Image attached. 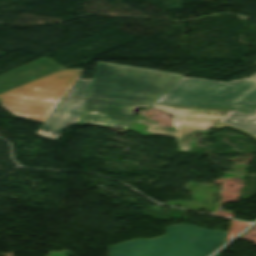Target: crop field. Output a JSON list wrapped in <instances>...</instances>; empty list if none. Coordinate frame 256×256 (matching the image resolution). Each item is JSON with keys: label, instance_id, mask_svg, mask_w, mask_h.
I'll list each match as a JSON object with an SVG mask.
<instances>
[{"label": "crop field", "instance_id": "1", "mask_svg": "<svg viewBox=\"0 0 256 256\" xmlns=\"http://www.w3.org/2000/svg\"><path fill=\"white\" fill-rule=\"evenodd\" d=\"M181 75L99 62L79 122L127 129Z\"/></svg>", "mask_w": 256, "mask_h": 256}, {"label": "crop field", "instance_id": "2", "mask_svg": "<svg viewBox=\"0 0 256 256\" xmlns=\"http://www.w3.org/2000/svg\"><path fill=\"white\" fill-rule=\"evenodd\" d=\"M156 103L231 109L256 115V73L231 82L182 77Z\"/></svg>", "mask_w": 256, "mask_h": 256}, {"label": "crop field", "instance_id": "3", "mask_svg": "<svg viewBox=\"0 0 256 256\" xmlns=\"http://www.w3.org/2000/svg\"><path fill=\"white\" fill-rule=\"evenodd\" d=\"M226 232L188 224L166 227V235L109 247L108 256H208L223 244Z\"/></svg>", "mask_w": 256, "mask_h": 256}, {"label": "crop field", "instance_id": "4", "mask_svg": "<svg viewBox=\"0 0 256 256\" xmlns=\"http://www.w3.org/2000/svg\"><path fill=\"white\" fill-rule=\"evenodd\" d=\"M85 69H63L0 95V105L14 116L44 123Z\"/></svg>", "mask_w": 256, "mask_h": 256}, {"label": "crop field", "instance_id": "5", "mask_svg": "<svg viewBox=\"0 0 256 256\" xmlns=\"http://www.w3.org/2000/svg\"><path fill=\"white\" fill-rule=\"evenodd\" d=\"M153 107L164 110L173 115L172 125L176 132L172 133L166 131L156 127V125L152 123L139 119L138 121H141L140 124L148 126L144 131L175 138L176 143H178V147H180L181 150H188L191 132L198 129L208 130L221 117L229 112L225 110L162 105H154Z\"/></svg>", "mask_w": 256, "mask_h": 256}, {"label": "crop field", "instance_id": "6", "mask_svg": "<svg viewBox=\"0 0 256 256\" xmlns=\"http://www.w3.org/2000/svg\"><path fill=\"white\" fill-rule=\"evenodd\" d=\"M91 80L79 79L35 135L55 141L67 126L77 122L85 100L70 96L86 98Z\"/></svg>", "mask_w": 256, "mask_h": 256}, {"label": "crop field", "instance_id": "7", "mask_svg": "<svg viewBox=\"0 0 256 256\" xmlns=\"http://www.w3.org/2000/svg\"><path fill=\"white\" fill-rule=\"evenodd\" d=\"M61 69L63 68L41 58L0 76V94Z\"/></svg>", "mask_w": 256, "mask_h": 256}, {"label": "crop field", "instance_id": "8", "mask_svg": "<svg viewBox=\"0 0 256 256\" xmlns=\"http://www.w3.org/2000/svg\"><path fill=\"white\" fill-rule=\"evenodd\" d=\"M228 126L256 140V118L230 111L211 128Z\"/></svg>", "mask_w": 256, "mask_h": 256}, {"label": "crop field", "instance_id": "9", "mask_svg": "<svg viewBox=\"0 0 256 256\" xmlns=\"http://www.w3.org/2000/svg\"><path fill=\"white\" fill-rule=\"evenodd\" d=\"M214 256H219V255L216 254V255H214Z\"/></svg>", "mask_w": 256, "mask_h": 256}, {"label": "crop field", "instance_id": "10", "mask_svg": "<svg viewBox=\"0 0 256 256\" xmlns=\"http://www.w3.org/2000/svg\"><path fill=\"white\" fill-rule=\"evenodd\" d=\"M256 65V64H255Z\"/></svg>", "mask_w": 256, "mask_h": 256}, {"label": "crop field", "instance_id": "11", "mask_svg": "<svg viewBox=\"0 0 256 256\" xmlns=\"http://www.w3.org/2000/svg\"><path fill=\"white\" fill-rule=\"evenodd\" d=\"M256 117V116H255Z\"/></svg>", "mask_w": 256, "mask_h": 256}]
</instances>
